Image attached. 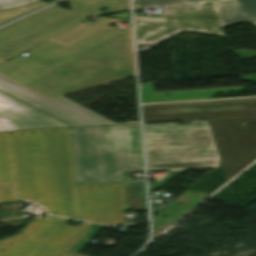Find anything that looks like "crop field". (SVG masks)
<instances>
[{"instance_id": "obj_14", "label": "crop field", "mask_w": 256, "mask_h": 256, "mask_svg": "<svg viewBox=\"0 0 256 256\" xmlns=\"http://www.w3.org/2000/svg\"><path fill=\"white\" fill-rule=\"evenodd\" d=\"M91 224L83 222L81 227L76 231V233L68 240V242L62 247V249L57 253L56 256H83L81 254H77L68 248L75 245V243L79 240V238L88 231Z\"/></svg>"}, {"instance_id": "obj_5", "label": "crop field", "mask_w": 256, "mask_h": 256, "mask_svg": "<svg viewBox=\"0 0 256 256\" xmlns=\"http://www.w3.org/2000/svg\"><path fill=\"white\" fill-rule=\"evenodd\" d=\"M144 129L147 164L220 160L208 124H151Z\"/></svg>"}, {"instance_id": "obj_21", "label": "crop field", "mask_w": 256, "mask_h": 256, "mask_svg": "<svg viewBox=\"0 0 256 256\" xmlns=\"http://www.w3.org/2000/svg\"><path fill=\"white\" fill-rule=\"evenodd\" d=\"M188 1H193V0H188Z\"/></svg>"}, {"instance_id": "obj_10", "label": "crop field", "mask_w": 256, "mask_h": 256, "mask_svg": "<svg viewBox=\"0 0 256 256\" xmlns=\"http://www.w3.org/2000/svg\"><path fill=\"white\" fill-rule=\"evenodd\" d=\"M0 90L17 97L71 125L113 123L62 97L49 100L1 75Z\"/></svg>"}, {"instance_id": "obj_16", "label": "crop field", "mask_w": 256, "mask_h": 256, "mask_svg": "<svg viewBox=\"0 0 256 256\" xmlns=\"http://www.w3.org/2000/svg\"><path fill=\"white\" fill-rule=\"evenodd\" d=\"M185 1L187 0H135L134 8L147 7L153 5H167Z\"/></svg>"}, {"instance_id": "obj_6", "label": "crop field", "mask_w": 256, "mask_h": 256, "mask_svg": "<svg viewBox=\"0 0 256 256\" xmlns=\"http://www.w3.org/2000/svg\"><path fill=\"white\" fill-rule=\"evenodd\" d=\"M208 122L228 180L256 158V117Z\"/></svg>"}, {"instance_id": "obj_19", "label": "crop field", "mask_w": 256, "mask_h": 256, "mask_svg": "<svg viewBox=\"0 0 256 256\" xmlns=\"http://www.w3.org/2000/svg\"><path fill=\"white\" fill-rule=\"evenodd\" d=\"M5 62H6V61L0 59V65L3 64V63H5Z\"/></svg>"}, {"instance_id": "obj_13", "label": "crop field", "mask_w": 256, "mask_h": 256, "mask_svg": "<svg viewBox=\"0 0 256 256\" xmlns=\"http://www.w3.org/2000/svg\"><path fill=\"white\" fill-rule=\"evenodd\" d=\"M220 161L147 165L149 172L216 168Z\"/></svg>"}, {"instance_id": "obj_9", "label": "crop field", "mask_w": 256, "mask_h": 256, "mask_svg": "<svg viewBox=\"0 0 256 256\" xmlns=\"http://www.w3.org/2000/svg\"><path fill=\"white\" fill-rule=\"evenodd\" d=\"M78 219L125 223L122 184L75 185Z\"/></svg>"}, {"instance_id": "obj_4", "label": "crop field", "mask_w": 256, "mask_h": 256, "mask_svg": "<svg viewBox=\"0 0 256 256\" xmlns=\"http://www.w3.org/2000/svg\"><path fill=\"white\" fill-rule=\"evenodd\" d=\"M256 0L202 1L171 5L160 18L135 15L137 44H157L184 30L224 36L221 28L255 20Z\"/></svg>"}, {"instance_id": "obj_15", "label": "crop field", "mask_w": 256, "mask_h": 256, "mask_svg": "<svg viewBox=\"0 0 256 256\" xmlns=\"http://www.w3.org/2000/svg\"><path fill=\"white\" fill-rule=\"evenodd\" d=\"M18 198L14 197L13 185L12 184H1L0 185V204L18 201Z\"/></svg>"}, {"instance_id": "obj_1", "label": "crop field", "mask_w": 256, "mask_h": 256, "mask_svg": "<svg viewBox=\"0 0 256 256\" xmlns=\"http://www.w3.org/2000/svg\"><path fill=\"white\" fill-rule=\"evenodd\" d=\"M17 195L77 219L69 128L9 131Z\"/></svg>"}, {"instance_id": "obj_7", "label": "crop field", "mask_w": 256, "mask_h": 256, "mask_svg": "<svg viewBox=\"0 0 256 256\" xmlns=\"http://www.w3.org/2000/svg\"><path fill=\"white\" fill-rule=\"evenodd\" d=\"M67 219L45 215L32 219L15 235L0 240V256H55L67 240L80 227L65 225Z\"/></svg>"}, {"instance_id": "obj_2", "label": "crop field", "mask_w": 256, "mask_h": 256, "mask_svg": "<svg viewBox=\"0 0 256 256\" xmlns=\"http://www.w3.org/2000/svg\"><path fill=\"white\" fill-rule=\"evenodd\" d=\"M75 184L122 183L143 171L139 124L70 128Z\"/></svg>"}, {"instance_id": "obj_3", "label": "crop field", "mask_w": 256, "mask_h": 256, "mask_svg": "<svg viewBox=\"0 0 256 256\" xmlns=\"http://www.w3.org/2000/svg\"><path fill=\"white\" fill-rule=\"evenodd\" d=\"M133 75L130 28L25 87L53 99Z\"/></svg>"}, {"instance_id": "obj_20", "label": "crop field", "mask_w": 256, "mask_h": 256, "mask_svg": "<svg viewBox=\"0 0 256 256\" xmlns=\"http://www.w3.org/2000/svg\"><path fill=\"white\" fill-rule=\"evenodd\" d=\"M251 22L256 25V20L255 21H251Z\"/></svg>"}, {"instance_id": "obj_12", "label": "crop field", "mask_w": 256, "mask_h": 256, "mask_svg": "<svg viewBox=\"0 0 256 256\" xmlns=\"http://www.w3.org/2000/svg\"><path fill=\"white\" fill-rule=\"evenodd\" d=\"M14 182L8 131L0 132V183Z\"/></svg>"}, {"instance_id": "obj_11", "label": "crop field", "mask_w": 256, "mask_h": 256, "mask_svg": "<svg viewBox=\"0 0 256 256\" xmlns=\"http://www.w3.org/2000/svg\"><path fill=\"white\" fill-rule=\"evenodd\" d=\"M0 120L17 129L68 126L2 92Z\"/></svg>"}, {"instance_id": "obj_18", "label": "crop field", "mask_w": 256, "mask_h": 256, "mask_svg": "<svg viewBox=\"0 0 256 256\" xmlns=\"http://www.w3.org/2000/svg\"><path fill=\"white\" fill-rule=\"evenodd\" d=\"M15 128L3 123L0 121V131H3V130H13Z\"/></svg>"}, {"instance_id": "obj_8", "label": "crop field", "mask_w": 256, "mask_h": 256, "mask_svg": "<svg viewBox=\"0 0 256 256\" xmlns=\"http://www.w3.org/2000/svg\"><path fill=\"white\" fill-rule=\"evenodd\" d=\"M144 122L256 116V98L145 105Z\"/></svg>"}, {"instance_id": "obj_17", "label": "crop field", "mask_w": 256, "mask_h": 256, "mask_svg": "<svg viewBox=\"0 0 256 256\" xmlns=\"http://www.w3.org/2000/svg\"><path fill=\"white\" fill-rule=\"evenodd\" d=\"M39 0H0V10L7 9Z\"/></svg>"}]
</instances>
